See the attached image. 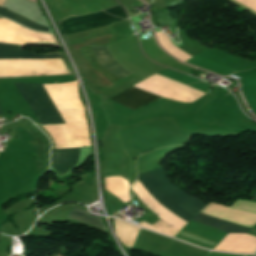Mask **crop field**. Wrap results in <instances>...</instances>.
<instances>
[{"instance_id": "obj_1", "label": "crop field", "mask_w": 256, "mask_h": 256, "mask_svg": "<svg viewBox=\"0 0 256 256\" xmlns=\"http://www.w3.org/2000/svg\"><path fill=\"white\" fill-rule=\"evenodd\" d=\"M137 180L145 187V189L156 201L187 222L206 206L200 201L174 187L169 182L162 168L138 175ZM137 180L133 185L130 186L131 189L138 182Z\"/></svg>"}, {"instance_id": "obj_2", "label": "crop field", "mask_w": 256, "mask_h": 256, "mask_svg": "<svg viewBox=\"0 0 256 256\" xmlns=\"http://www.w3.org/2000/svg\"><path fill=\"white\" fill-rule=\"evenodd\" d=\"M123 19H127V16L122 7L117 4L100 12L70 18L57 24L62 34L67 35L85 29L104 26Z\"/></svg>"}, {"instance_id": "obj_3", "label": "crop field", "mask_w": 256, "mask_h": 256, "mask_svg": "<svg viewBox=\"0 0 256 256\" xmlns=\"http://www.w3.org/2000/svg\"><path fill=\"white\" fill-rule=\"evenodd\" d=\"M35 112L41 125L64 123L41 85L14 84ZM33 112V113H34ZM60 125V124H59ZM50 126V125H49Z\"/></svg>"}, {"instance_id": "obj_4", "label": "crop field", "mask_w": 256, "mask_h": 256, "mask_svg": "<svg viewBox=\"0 0 256 256\" xmlns=\"http://www.w3.org/2000/svg\"><path fill=\"white\" fill-rule=\"evenodd\" d=\"M97 62L102 65L106 70H108L111 74H113L115 77L121 79L129 74H131L130 72H128L127 70L123 69L122 67H120L110 56L108 50L106 47H93L91 48ZM90 48H86L84 49L90 63L92 64V66L96 69L97 72L101 73L102 75H104L105 77L109 78L110 80H112L113 82L119 80L117 78H115L113 75H111L108 71H106L102 66H100L92 52H91Z\"/></svg>"}, {"instance_id": "obj_5", "label": "crop field", "mask_w": 256, "mask_h": 256, "mask_svg": "<svg viewBox=\"0 0 256 256\" xmlns=\"http://www.w3.org/2000/svg\"><path fill=\"white\" fill-rule=\"evenodd\" d=\"M157 95V94H156ZM136 88L134 86L129 87L128 89L114 95L109 98L121 105H124L132 110H135L139 107L147 105L151 102H154L161 97Z\"/></svg>"}, {"instance_id": "obj_6", "label": "crop field", "mask_w": 256, "mask_h": 256, "mask_svg": "<svg viewBox=\"0 0 256 256\" xmlns=\"http://www.w3.org/2000/svg\"><path fill=\"white\" fill-rule=\"evenodd\" d=\"M79 149L52 150L50 166L59 176L70 173L69 166L77 158Z\"/></svg>"}, {"instance_id": "obj_7", "label": "crop field", "mask_w": 256, "mask_h": 256, "mask_svg": "<svg viewBox=\"0 0 256 256\" xmlns=\"http://www.w3.org/2000/svg\"><path fill=\"white\" fill-rule=\"evenodd\" d=\"M22 47L0 43V59L61 58V53L34 55V52L21 51Z\"/></svg>"}, {"instance_id": "obj_8", "label": "crop field", "mask_w": 256, "mask_h": 256, "mask_svg": "<svg viewBox=\"0 0 256 256\" xmlns=\"http://www.w3.org/2000/svg\"><path fill=\"white\" fill-rule=\"evenodd\" d=\"M216 218V217H215ZM204 214L199 213L192 221L210 226L212 228L227 232V233H247L250 228L225 222L219 219H215Z\"/></svg>"}, {"instance_id": "obj_9", "label": "crop field", "mask_w": 256, "mask_h": 256, "mask_svg": "<svg viewBox=\"0 0 256 256\" xmlns=\"http://www.w3.org/2000/svg\"><path fill=\"white\" fill-rule=\"evenodd\" d=\"M69 219L82 221L103 229H106L101 218H95L90 216L86 210L74 207L70 214L67 216ZM107 230V229H106Z\"/></svg>"}, {"instance_id": "obj_10", "label": "crop field", "mask_w": 256, "mask_h": 256, "mask_svg": "<svg viewBox=\"0 0 256 256\" xmlns=\"http://www.w3.org/2000/svg\"><path fill=\"white\" fill-rule=\"evenodd\" d=\"M0 15L6 16L8 18H11V19H13V20H15V21H17V22H19V23H21V24H23V25H25V26H27L29 28H32V29L44 30V31L48 30L47 28H45V27H43L41 25L33 23V22H31V21H29V20H27V19H25V18H23L21 16H18L16 14L8 12V11L2 9V8H0Z\"/></svg>"}, {"instance_id": "obj_11", "label": "crop field", "mask_w": 256, "mask_h": 256, "mask_svg": "<svg viewBox=\"0 0 256 256\" xmlns=\"http://www.w3.org/2000/svg\"><path fill=\"white\" fill-rule=\"evenodd\" d=\"M0 114H2L1 110H0Z\"/></svg>"}, {"instance_id": "obj_12", "label": "crop field", "mask_w": 256, "mask_h": 256, "mask_svg": "<svg viewBox=\"0 0 256 256\" xmlns=\"http://www.w3.org/2000/svg\"><path fill=\"white\" fill-rule=\"evenodd\" d=\"M0 19H2V18H0Z\"/></svg>"}]
</instances>
